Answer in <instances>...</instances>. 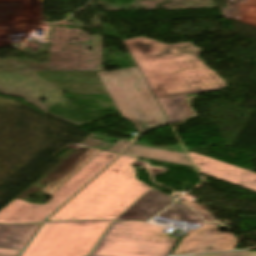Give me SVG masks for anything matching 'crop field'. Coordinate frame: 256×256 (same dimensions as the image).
I'll return each mask as SVG.
<instances>
[{
  "label": "crop field",
  "mask_w": 256,
  "mask_h": 256,
  "mask_svg": "<svg viewBox=\"0 0 256 256\" xmlns=\"http://www.w3.org/2000/svg\"><path fill=\"white\" fill-rule=\"evenodd\" d=\"M155 98L217 91L225 81L210 70L192 43L163 44L138 37L124 41Z\"/></svg>",
  "instance_id": "8a807250"
},
{
  "label": "crop field",
  "mask_w": 256,
  "mask_h": 256,
  "mask_svg": "<svg viewBox=\"0 0 256 256\" xmlns=\"http://www.w3.org/2000/svg\"><path fill=\"white\" fill-rule=\"evenodd\" d=\"M135 161L120 156L46 221L117 217L151 188L135 178Z\"/></svg>",
  "instance_id": "ac0d7876"
},
{
  "label": "crop field",
  "mask_w": 256,
  "mask_h": 256,
  "mask_svg": "<svg viewBox=\"0 0 256 256\" xmlns=\"http://www.w3.org/2000/svg\"><path fill=\"white\" fill-rule=\"evenodd\" d=\"M112 220L44 222L21 256H84Z\"/></svg>",
  "instance_id": "34b2d1b8"
},
{
  "label": "crop field",
  "mask_w": 256,
  "mask_h": 256,
  "mask_svg": "<svg viewBox=\"0 0 256 256\" xmlns=\"http://www.w3.org/2000/svg\"><path fill=\"white\" fill-rule=\"evenodd\" d=\"M98 74L122 116L133 122L139 133L166 124L136 67Z\"/></svg>",
  "instance_id": "412701ff"
},
{
  "label": "crop field",
  "mask_w": 256,
  "mask_h": 256,
  "mask_svg": "<svg viewBox=\"0 0 256 256\" xmlns=\"http://www.w3.org/2000/svg\"><path fill=\"white\" fill-rule=\"evenodd\" d=\"M162 230L143 222H114L90 256H168L178 239Z\"/></svg>",
  "instance_id": "f4fd0767"
},
{
  "label": "crop field",
  "mask_w": 256,
  "mask_h": 256,
  "mask_svg": "<svg viewBox=\"0 0 256 256\" xmlns=\"http://www.w3.org/2000/svg\"><path fill=\"white\" fill-rule=\"evenodd\" d=\"M118 155L101 151L50 196L44 205L15 199L0 210V224L42 223Z\"/></svg>",
  "instance_id": "dd49c442"
},
{
  "label": "crop field",
  "mask_w": 256,
  "mask_h": 256,
  "mask_svg": "<svg viewBox=\"0 0 256 256\" xmlns=\"http://www.w3.org/2000/svg\"><path fill=\"white\" fill-rule=\"evenodd\" d=\"M218 225L209 224L190 231L172 255L234 250L237 238L233 234L216 231Z\"/></svg>",
  "instance_id": "e52e79f7"
},
{
  "label": "crop field",
  "mask_w": 256,
  "mask_h": 256,
  "mask_svg": "<svg viewBox=\"0 0 256 256\" xmlns=\"http://www.w3.org/2000/svg\"><path fill=\"white\" fill-rule=\"evenodd\" d=\"M189 155L200 173L256 191V173L193 152Z\"/></svg>",
  "instance_id": "d8731c3e"
},
{
  "label": "crop field",
  "mask_w": 256,
  "mask_h": 256,
  "mask_svg": "<svg viewBox=\"0 0 256 256\" xmlns=\"http://www.w3.org/2000/svg\"><path fill=\"white\" fill-rule=\"evenodd\" d=\"M173 199L155 189L150 190L116 220H148Z\"/></svg>",
  "instance_id": "5a996713"
},
{
  "label": "crop field",
  "mask_w": 256,
  "mask_h": 256,
  "mask_svg": "<svg viewBox=\"0 0 256 256\" xmlns=\"http://www.w3.org/2000/svg\"><path fill=\"white\" fill-rule=\"evenodd\" d=\"M40 225H0V248L23 250Z\"/></svg>",
  "instance_id": "3316defc"
},
{
  "label": "crop field",
  "mask_w": 256,
  "mask_h": 256,
  "mask_svg": "<svg viewBox=\"0 0 256 256\" xmlns=\"http://www.w3.org/2000/svg\"><path fill=\"white\" fill-rule=\"evenodd\" d=\"M153 220H161L176 224L185 225L191 228H197L204 224V222L188 207L175 202Z\"/></svg>",
  "instance_id": "28ad6ade"
},
{
  "label": "crop field",
  "mask_w": 256,
  "mask_h": 256,
  "mask_svg": "<svg viewBox=\"0 0 256 256\" xmlns=\"http://www.w3.org/2000/svg\"><path fill=\"white\" fill-rule=\"evenodd\" d=\"M124 153L140 156V157H146L148 159H154V160L192 166L190 164L188 157L183 153H177V152H171V151H165V150H159V149H153V148H147V147H141V146H135V145H132Z\"/></svg>",
  "instance_id": "d1516ede"
},
{
  "label": "crop field",
  "mask_w": 256,
  "mask_h": 256,
  "mask_svg": "<svg viewBox=\"0 0 256 256\" xmlns=\"http://www.w3.org/2000/svg\"><path fill=\"white\" fill-rule=\"evenodd\" d=\"M170 123L180 121L192 115L185 96L158 99Z\"/></svg>",
  "instance_id": "22f410ed"
},
{
  "label": "crop field",
  "mask_w": 256,
  "mask_h": 256,
  "mask_svg": "<svg viewBox=\"0 0 256 256\" xmlns=\"http://www.w3.org/2000/svg\"><path fill=\"white\" fill-rule=\"evenodd\" d=\"M99 152L100 150L91 148L80 159H78L72 166H70L63 174H61L55 181H53L47 188H45L43 192L50 195Z\"/></svg>",
  "instance_id": "cbeb9de0"
},
{
  "label": "crop field",
  "mask_w": 256,
  "mask_h": 256,
  "mask_svg": "<svg viewBox=\"0 0 256 256\" xmlns=\"http://www.w3.org/2000/svg\"><path fill=\"white\" fill-rule=\"evenodd\" d=\"M200 256H256V251H242L224 254L200 255Z\"/></svg>",
  "instance_id": "5142ce71"
},
{
  "label": "crop field",
  "mask_w": 256,
  "mask_h": 256,
  "mask_svg": "<svg viewBox=\"0 0 256 256\" xmlns=\"http://www.w3.org/2000/svg\"><path fill=\"white\" fill-rule=\"evenodd\" d=\"M130 144L129 141H123L120 140L119 142H117L109 151L110 152H116L119 153L120 151H122L126 146H128Z\"/></svg>",
  "instance_id": "d9b57169"
},
{
  "label": "crop field",
  "mask_w": 256,
  "mask_h": 256,
  "mask_svg": "<svg viewBox=\"0 0 256 256\" xmlns=\"http://www.w3.org/2000/svg\"><path fill=\"white\" fill-rule=\"evenodd\" d=\"M20 250L0 249V256H19Z\"/></svg>",
  "instance_id": "733c2abd"
}]
</instances>
